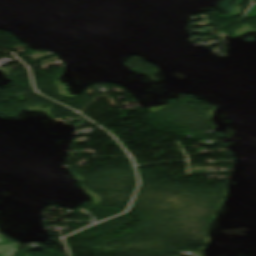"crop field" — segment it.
<instances>
[{
  "mask_svg": "<svg viewBox=\"0 0 256 256\" xmlns=\"http://www.w3.org/2000/svg\"><path fill=\"white\" fill-rule=\"evenodd\" d=\"M19 248L20 247L0 236V252L2 253L1 256H10Z\"/></svg>",
  "mask_w": 256,
  "mask_h": 256,
  "instance_id": "1",
  "label": "crop field"
}]
</instances>
